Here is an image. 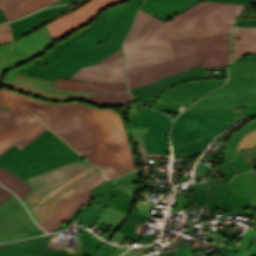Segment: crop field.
<instances>
[{"label": "crop field", "mask_w": 256, "mask_h": 256, "mask_svg": "<svg viewBox=\"0 0 256 256\" xmlns=\"http://www.w3.org/2000/svg\"><path fill=\"white\" fill-rule=\"evenodd\" d=\"M0 96L30 110L79 154L103 169L108 179L135 170L125 120L115 109L79 102L50 103L0 88Z\"/></svg>", "instance_id": "obj_1"}, {"label": "crop field", "mask_w": 256, "mask_h": 256, "mask_svg": "<svg viewBox=\"0 0 256 256\" xmlns=\"http://www.w3.org/2000/svg\"><path fill=\"white\" fill-rule=\"evenodd\" d=\"M145 0L131 2L104 12L99 19L42 57L44 61L21 72L53 80L70 78L84 66L94 65L122 48L135 14Z\"/></svg>", "instance_id": "obj_2"}, {"label": "crop field", "mask_w": 256, "mask_h": 256, "mask_svg": "<svg viewBox=\"0 0 256 256\" xmlns=\"http://www.w3.org/2000/svg\"><path fill=\"white\" fill-rule=\"evenodd\" d=\"M174 59L127 70L129 89L164 78L182 70L203 65L224 66L229 61L230 33L196 39L171 41Z\"/></svg>", "instance_id": "obj_3"}, {"label": "crop field", "mask_w": 256, "mask_h": 256, "mask_svg": "<svg viewBox=\"0 0 256 256\" xmlns=\"http://www.w3.org/2000/svg\"><path fill=\"white\" fill-rule=\"evenodd\" d=\"M78 160L83 158L48 129L22 150L13 146L0 155V167L24 180Z\"/></svg>", "instance_id": "obj_4"}, {"label": "crop field", "mask_w": 256, "mask_h": 256, "mask_svg": "<svg viewBox=\"0 0 256 256\" xmlns=\"http://www.w3.org/2000/svg\"><path fill=\"white\" fill-rule=\"evenodd\" d=\"M99 171V168L83 160L32 176L24 181L35 188L23 201L37 223L49 215L59 204L54 200L55 198Z\"/></svg>", "instance_id": "obj_5"}, {"label": "crop field", "mask_w": 256, "mask_h": 256, "mask_svg": "<svg viewBox=\"0 0 256 256\" xmlns=\"http://www.w3.org/2000/svg\"><path fill=\"white\" fill-rule=\"evenodd\" d=\"M243 7L244 5L203 1L184 11L167 23L142 10H139V13L125 42H152L154 41L156 32L161 26L233 23L238 11H240Z\"/></svg>", "instance_id": "obj_6"}, {"label": "crop field", "mask_w": 256, "mask_h": 256, "mask_svg": "<svg viewBox=\"0 0 256 256\" xmlns=\"http://www.w3.org/2000/svg\"><path fill=\"white\" fill-rule=\"evenodd\" d=\"M51 235L0 245V256H110L116 247L83 230L75 251H65L66 245L50 243Z\"/></svg>", "instance_id": "obj_7"}, {"label": "crop field", "mask_w": 256, "mask_h": 256, "mask_svg": "<svg viewBox=\"0 0 256 256\" xmlns=\"http://www.w3.org/2000/svg\"><path fill=\"white\" fill-rule=\"evenodd\" d=\"M246 117L230 110H187L175 121L172 129L174 157H187L188 129L216 136Z\"/></svg>", "instance_id": "obj_8"}, {"label": "crop field", "mask_w": 256, "mask_h": 256, "mask_svg": "<svg viewBox=\"0 0 256 256\" xmlns=\"http://www.w3.org/2000/svg\"><path fill=\"white\" fill-rule=\"evenodd\" d=\"M0 154L15 145L25 147L48 128L28 111L0 97Z\"/></svg>", "instance_id": "obj_9"}, {"label": "crop field", "mask_w": 256, "mask_h": 256, "mask_svg": "<svg viewBox=\"0 0 256 256\" xmlns=\"http://www.w3.org/2000/svg\"><path fill=\"white\" fill-rule=\"evenodd\" d=\"M256 60L230 64V80L189 109H234L233 92L256 88Z\"/></svg>", "instance_id": "obj_10"}, {"label": "crop field", "mask_w": 256, "mask_h": 256, "mask_svg": "<svg viewBox=\"0 0 256 256\" xmlns=\"http://www.w3.org/2000/svg\"><path fill=\"white\" fill-rule=\"evenodd\" d=\"M107 181L101 172L84 181L72 190L63 194L56 200L61 203L44 220L37 223L48 232L53 231L63 225L77 210L95 198L89 191ZM44 229V230H45Z\"/></svg>", "instance_id": "obj_11"}, {"label": "crop field", "mask_w": 256, "mask_h": 256, "mask_svg": "<svg viewBox=\"0 0 256 256\" xmlns=\"http://www.w3.org/2000/svg\"><path fill=\"white\" fill-rule=\"evenodd\" d=\"M122 1L125 0H91L89 3L46 24V26L53 40H56L73 29L88 23L102 9Z\"/></svg>", "instance_id": "obj_12"}, {"label": "crop field", "mask_w": 256, "mask_h": 256, "mask_svg": "<svg viewBox=\"0 0 256 256\" xmlns=\"http://www.w3.org/2000/svg\"><path fill=\"white\" fill-rule=\"evenodd\" d=\"M126 51V70L173 58L170 41L123 44Z\"/></svg>", "instance_id": "obj_13"}, {"label": "crop field", "mask_w": 256, "mask_h": 256, "mask_svg": "<svg viewBox=\"0 0 256 256\" xmlns=\"http://www.w3.org/2000/svg\"><path fill=\"white\" fill-rule=\"evenodd\" d=\"M226 79L195 80L181 83L162 94L155 103L165 104H190L201 98L208 91L224 84Z\"/></svg>", "instance_id": "obj_14"}, {"label": "crop field", "mask_w": 256, "mask_h": 256, "mask_svg": "<svg viewBox=\"0 0 256 256\" xmlns=\"http://www.w3.org/2000/svg\"><path fill=\"white\" fill-rule=\"evenodd\" d=\"M206 79L203 66H198L194 69L179 72L164 79L150 83L148 85L132 89L130 92L136 99L155 102V100L167 89L181 82Z\"/></svg>", "instance_id": "obj_15"}, {"label": "crop field", "mask_w": 256, "mask_h": 256, "mask_svg": "<svg viewBox=\"0 0 256 256\" xmlns=\"http://www.w3.org/2000/svg\"><path fill=\"white\" fill-rule=\"evenodd\" d=\"M94 202L108 205L115 209L127 212V214L130 216L128 217L126 222L120 227L119 231L131 236L130 238L132 239L142 240V245L150 244L153 238V237H150L151 235L150 233L148 234V236H146V235L136 234L134 233V231L137 226L144 227L146 220H151V219L144 216H139V215L135 216L139 208H136V207L132 208L130 201L105 193L101 195L99 198H97Z\"/></svg>", "instance_id": "obj_16"}, {"label": "crop field", "mask_w": 256, "mask_h": 256, "mask_svg": "<svg viewBox=\"0 0 256 256\" xmlns=\"http://www.w3.org/2000/svg\"><path fill=\"white\" fill-rule=\"evenodd\" d=\"M170 118L152 111L150 116V134H144L149 157L170 158L167 134Z\"/></svg>", "instance_id": "obj_17"}, {"label": "crop field", "mask_w": 256, "mask_h": 256, "mask_svg": "<svg viewBox=\"0 0 256 256\" xmlns=\"http://www.w3.org/2000/svg\"><path fill=\"white\" fill-rule=\"evenodd\" d=\"M30 218L22 203L18 209L0 224V242L44 234Z\"/></svg>", "instance_id": "obj_18"}, {"label": "crop field", "mask_w": 256, "mask_h": 256, "mask_svg": "<svg viewBox=\"0 0 256 256\" xmlns=\"http://www.w3.org/2000/svg\"><path fill=\"white\" fill-rule=\"evenodd\" d=\"M203 0H146L141 9L155 15L156 17L169 21L189 7ZM224 3H236L247 5L256 0H208Z\"/></svg>", "instance_id": "obj_19"}, {"label": "crop field", "mask_w": 256, "mask_h": 256, "mask_svg": "<svg viewBox=\"0 0 256 256\" xmlns=\"http://www.w3.org/2000/svg\"><path fill=\"white\" fill-rule=\"evenodd\" d=\"M197 202L200 207L188 208V209H174L171 211L179 212L180 210L191 211L194 209H208L207 213L202 212L200 217H212L213 209H256V205H249L248 207L242 205H231L220 201L221 197L213 190L209 182H201L197 184H191L190 186Z\"/></svg>", "instance_id": "obj_20"}, {"label": "crop field", "mask_w": 256, "mask_h": 256, "mask_svg": "<svg viewBox=\"0 0 256 256\" xmlns=\"http://www.w3.org/2000/svg\"><path fill=\"white\" fill-rule=\"evenodd\" d=\"M71 78L100 82L126 81L124 73V57L109 64L84 67Z\"/></svg>", "instance_id": "obj_21"}, {"label": "crop field", "mask_w": 256, "mask_h": 256, "mask_svg": "<svg viewBox=\"0 0 256 256\" xmlns=\"http://www.w3.org/2000/svg\"><path fill=\"white\" fill-rule=\"evenodd\" d=\"M232 24L213 26H184V27H161L155 41L174 40L197 36L205 37L231 31Z\"/></svg>", "instance_id": "obj_22"}, {"label": "crop field", "mask_w": 256, "mask_h": 256, "mask_svg": "<svg viewBox=\"0 0 256 256\" xmlns=\"http://www.w3.org/2000/svg\"><path fill=\"white\" fill-rule=\"evenodd\" d=\"M254 129H256V121H251L245 124L244 128L241 129V132H234L228 142L225 141V137L229 132L216 140V142L220 143L217 149L213 151V158H225V162H223L222 165V171L229 180L235 175L230 160L236 152L237 145L246 133Z\"/></svg>", "instance_id": "obj_23"}, {"label": "crop field", "mask_w": 256, "mask_h": 256, "mask_svg": "<svg viewBox=\"0 0 256 256\" xmlns=\"http://www.w3.org/2000/svg\"><path fill=\"white\" fill-rule=\"evenodd\" d=\"M2 85L51 101L84 100L87 102L90 95L83 92L58 91L22 82H2Z\"/></svg>", "instance_id": "obj_24"}, {"label": "crop field", "mask_w": 256, "mask_h": 256, "mask_svg": "<svg viewBox=\"0 0 256 256\" xmlns=\"http://www.w3.org/2000/svg\"><path fill=\"white\" fill-rule=\"evenodd\" d=\"M54 88L89 92L127 91L126 82L99 83L62 78L56 79Z\"/></svg>", "instance_id": "obj_25"}, {"label": "crop field", "mask_w": 256, "mask_h": 256, "mask_svg": "<svg viewBox=\"0 0 256 256\" xmlns=\"http://www.w3.org/2000/svg\"><path fill=\"white\" fill-rule=\"evenodd\" d=\"M70 8L68 5L46 9L20 20H17L13 23H9V26L12 29L13 41L20 38L21 36L35 30L36 28L44 25V21L42 18H46L48 16L54 15L60 11H64Z\"/></svg>", "instance_id": "obj_26"}, {"label": "crop field", "mask_w": 256, "mask_h": 256, "mask_svg": "<svg viewBox=\"0 0 256 256\" xmlns=\"http://www.w3.org/2000/svg\"><path fill=\"white\" fill-rule=\"evenodd\" d=\"M95 199L77 211L63 226L55 231L67 229L70 227V223L79 220L86 222L84 225L86 228H88L95 220L104 223L114 213L115 209L92 203Z\"/></svg>", "instance_id": "obj_27"}, {"label": "crop field", "mask_w": 256, "mask_h": 256, "mask_svg": "<svg viewBox=\"0 0 256 256\" xmlns=\"http://www.w3.org/2000/svg\"><path fill=\"white\" fill-rule=\"evenodd\" d=\"M232 42L233 54L231 62L236 57L256 53V27H234Z\"/></svg>", "instance_id": "obj_28"}, {"label": "crop field", "mask_w": 256, "mask_h": 256, "mask_svg": "<svg viewBox=\"0 0 256 256\" xmlns=\"http://www.w3.org/2000/svg\"><path fill=\"white\" fill-rule=\"evenodd\" d=\"M57 1L59 0H0V9L9 21Z\"/></svg>", "instance_id": "obj_29"}, {"label": "crop field", "mask_w": 256, "mask_h": 256, "mask_svg": "<svg viewBox=\"0 0 256 256\" xmlns=\"http://www.w3.org/2000/svg\"><path fill=\"white\" fill-rule=\"evenodd\" d=\"M53 41L46 26H43L14 42V49L17 55L27 54L28 56Z\"/></svg>", "instance_id": "obj_30"}, {"label": "crop field", "mask_w": 256, "mask_h": 256, "mask_svg": "<svg viewBox=\"0 0 256 256\" xmlns=\"http://www.w3.org/2000/svg\"><path fill=\"white\" fill-rule=\"evenodd\" d=\"M53 42L49 43L45 47L41 48L37 52L33 53L31 56H26L25 54L17 56L12 50V42L4 45H0V80L2 79L5 70H10L18 65H21L31 58H34L46 51V49L52 46ZM48 50V49H47Z\"/></svg>", "instance_id": "obj_31"}, {"label": "crop field", "mask_w": 256, "mask_h": 256, "mask_svg": "<svg viewBox=\"0 0 256 256\" xmlns=\"http://www.w3.org/2000/svg\"><path fill=\"white\" fill-rule=\"evenodd\" d=\"M227 186L235 191L232 194L253 199L250 204H256V173L254 171L234 177Z\"/></svg>", "instance_id": "obj_32"}, {"label": "crop field", "mask_w": 256, "mask_h": 256, "mask_svg": "<svg viewBox=\"0 0 256 256\" xmlns=\"http://www.w3.org/2000/svg\"><path fill=\"white\" fill-rule=\"evenodd\" d=\"M0 182L17 193L23 200L34 188L4 168H0Z\"/></svg>", "instance_id": "obj_33"}, {"label": "crop field", "mask_w": 256, "mask_h": 256, "mask_svg": "<svg viewBox=\"0 0 256 256\" xmlns=\"http://www.w3.org/2000/svg\"><path fill=\"white\" fill-rule=\"evenodd\" d=\"M132 100L129 93L91 94L88 102L102 106H117L126 104Z\"/></svg>", "instance_id": "obj_34"}, {"label": "crop field", "mask_w": 256, "mask_h": 256, "mask_svg": "<svg viewBox=\"0 0 256 256\" xmlns=\"http://www.w3.org/2000/svg\"><path fill=\"white\" fill-rule=\"evenodd\" d=\"M213 138H214L213 136H208V135H204V134L189 130L187 135L188 157H194L195 154L202 153L203 150L206 148L207 144Z\"/></svg>", "instance_id": "obj_35"}, {"label": "crop field", "mask_w": 256, "mask_h": 256, "mask_svg": "<svg viewBox=\"0 0 256 256\" xmlns=\"http://www.w3.org/2000/svg\"><path fill=\"white\" fill-rule=\"evenodd\" d=\"M211 186L215 189V191L223 198L222 201L232 203V204H242L248 205L250 203V199L241 198L235 195L230 194L233 192L229 189L226 184H220L215 181H209Z\"/></svg>", "instance_id": "obj_36"}, {"label": "crop field", "mask_w": 256, "mask_h": 256, "mask_svg": "<svg viewBox=\"0 0 256 256\" xmlns=\"http://www.w3.org/2000/svg\"><path fill=\"white\" fill-rule=\"evenodd\" d=\"M127 217L128 216L125 215V212L116 210L115 213L104 223L113 228L106 234H104L102 238L109 240L112 237V235L118 230V228L124 223Z\"/></svg>", "instance_id": "obj_37"}, {"label": "crop field", "mask_w": 256, "mask_h": 256, "mask_svg": "<svg viewBox=\"0 0 256 256\" xmlns=\"http://www.w3.org/2000/svg\"><path fill=\"white\" fill-rule=\"evenodd\" d=\"M235 107L243 108L256 104V90L234 93Z\"/></svg>", "instance_id": "obj_38"}, {"label": "crop field", "mask_w": 256, "mask_h": 256, "mask_svg": "<svg viewBox=\"0 0 256 256\" xmlns=\"http://www.w3.org/2000/svg\"><path fill=\"white\" fill-rule=\"evenodd\" d=\"M20 201L14 195L0 207V223L8 218L20 205Z\"/></svg>", "instance_id": "obj_39"}, {"label": "crop field", "mask_w": 256, "mask_h": 256, "mask_svg": "<svg viewBox=\"0 0 256 256\" xmlns=\"http://www.w3.org/2000/svg\"><path fill=\"white\" fill-rule=\"evenodd\" d=\"M106 182V181H105ZM92 194L96 195L97 197H99L103 192H106V193H110V194H113V195H116V196H120V197H123L125 199H128L130 201H133L134 202V199L132 196L116 189V188H112L110 189L109 186L107 185V183H104L102 184L101 186L95 188L94 190L90 191Z\"/></svg>", "instance_id": "obj_40"}, {"label": "crop field", "mask_w": 256, "mask_h": 256, "mask_svg": "<svg viewBox=\"0 0 256 256\" xmlns=\"http://www.w3.org/2000/svg\"><path fill=\"white\" fill-rule=\"evenodd\" d=\"M12 80H22L25 82H29V83H33V84H37V85H41V86H45V87H50L52 88V85L54 82L52 81H48V80H44V79H40V78H36L30 75H26L23 73H17Z\"/></svg>", "instance_id": "obj_41"}, {"label": "crop field", "mask_w": 256, "mask_h": 256, "mask_svg": "<svg viewBox=\"0 0 256 256\" xmlns=\"http://www.w3.org/2000/svg\"><path fill=\"white\" fill-rule=\"evenodd\" d=\"M232 164L238 171V174L252 169L244 158L243 150H241L240 153L232 160Z\"/></svg>", "instance_id": "obj_42"}, {"label": "crop field", "mask_w": 256, "mask_h": 256, "mask_svg": "<svg viewBox=\"0 0 256 256\" xmlns=\"http://www.w3.org/2000/svg\"><path fill=\"white\" fill-rule=\"evenodd\" d=\"M256 144V130L245 135L239 143L237 152L242 148H252Z\"/></svg>", "instance_id": "obj_43"}, {"label": "crop field", "mask_w": 256, "mask_h": 256, "mask_svg": "<svg viewBox=\"0 0 256 256\" xmlns=\"http://www.w3.org/2000/svg\"><path fill=\"white\" fill-rule=\"evenodd\" d=\"M11 41L12 38L9 26L7 24L0 25V44H4Z\"/></svg>", "instance_id": "obj_44"}, {"label": "crop field", "mask_w": 256, "mask_h": 256, "mask_svg": "<svg viewBox=\"0 0 256 256\" xmlns=\"http://www.w3.org/2000/svg\"><path fill=\"white\" fill-rule=\"evenodd\" d=\"M144 104H146L147 106L149 107H153L157 110H161V111H170V112H174V113H178L177 111H175L180 105H166V106H162V105H159V104H153V103H149V102H145V101H141V100H138Z\"/></svg>", "instance_id": "obj_45"}, {"label": "crop field", "mask_w": 256, "mask_h": 256, "mask_svg": "<svg viewBox=\"0 0 256 256\" xmlns=\"http://www.w3.org/2000/svg\"><path fill=\"white\" fill-rule=\"evenodd\" d=\"M40 61H42L41 58H35V59H34L33 61H31L29 64H27V65H22V66H20V67L14 69V70L8 72V73L5 75V77H4L3 80H11V78L14 76V74H15L16 72L21 71V70H23V69H25V68H27V67H29V66H31V65H34V64H36V63H38V62H40Z\"/></svg>", "instance_id": "obj_46"}, {"label": "crop field", "mask_w": 256, "mask_h": 256, "mask_svg": "<svg viewBox=\"0 0 256 256\" xmlns=\"http://www.w3.org/2000/svg\"><path fill=\"white\" fill-rule=\"evenodd\" d=\"M154 246H148V247H142V248H133L129 251H127L126 253H124L122 256H143L140 253L149 250V249H153Z\"/></svg>", "instance_id": "obj_47"}, {"label": "crop field", "mask_w": 256, "mask_h": 256, "mask_svg": "<svg viewBox=\"0 0 256 256\" xmlns=\"http://www.w3.org/2000/svg\"><path fill=\"white\" fill-rule=\"evenodd\" d=\"M122 56H124V53H123L122 49H120L97 64L109 63L111 61L119 59Z\"/></svg>", "instance_id": "obj_48"}, {"label": "crop field", "mask_w": 256, "mask_h": 256, "mask_svg": "<svg viewBox=\"0 0 256 256\" xmlns=\"http://www.w3.org/2000/svg\"><path fill=\"white\" fill-rule=\"evenodd\" d=\"M234 26H256V19H237Z\"/></svg>", "instance_id": "obj_49"}, {"label": "crop field", "mask_w": 256, "mask_h": 256, "mask_svg": "<svg viewBox=\"0 0 256 256\" xmlns=\"http://www.w3.org/2000/svg\"><path fill=\"white\" fill-rule=\"evenodd\" d=\"M12 195L13 194H11L7 189L0 186V205L8 200Z\"/></svg>", "instance_id": "obj_50"}, {"label": "crop field", "mask_w": 256, "mask_h": 256, "mask_svg": "<svg viewBox=\"0 0 256 256\" xmlns=\"http://www.w3.org/2000/svg\"><path fill=\"white\" fill-rule=\"evenodd\" d=\"M219 252H221L224 256H232L242 250L238 249V248H231V247H225L221 250H218Z\"/></svg>", "instance_id": "obj_51"}, {"label": "crop field", "mask_w": 256, "mask_h": 256, "mask_svg": "<svg viewBox=\"0 0 256 256\" xmlns=\"http://www.w3.org/2000/svg\"><path fill=\"white\" fill-rule=\"evenodd\" d=\"M231 215H256V210H235L232 209Z\"/></svg>", "instance_id": "obj_52"}, {"label": "crop field", "mask_w": 256, "mask_h": 256, "mask_svg": "<svg viewBox=\"0 0 256 256\" xmlns=\"http://www.w3.org/2000/svg\"><path fill=\"white\" fill-rule=\"evenodd\" d=\"M245 112L247 117L256 116V105L250 106L244 109H240Z\"/></svg>", "instance_id": "obj_53"}, {"label": "crop field", "mask_w": 256, "mask_h": 256, "mask_svg": "<svg viewBox=\"0 0 256 256\" xmlns=\"http://www.w3.org/2000/svg\"><path fill=\"white\" fill-rule=\"evenodd\" d=\"M179 253L181 256H194L192 250L189 247L186 249L182 245L179 247Z\"/></svg>", "instance_id": "obj_54"}, {"label": "crop field", "mask_w": 256, "mask_h": 256, "mask_svg": "<svg viewBox=\"0 0 256 256\" xmlns=\"http://www.w3.org/2000/svg\"><path fill=\"white\" fill-rule=\"evenodd\" d=\"M129 248H120L117 247V249L114 251V253L111 256H119L122 252L126 251Z\"/></svg>", "instance_id": "obj_55"}, {"label": "crop field", "mask_w": 256, "mask_h": 256, "mask_svg": "<svg viewBox=\"0 0 256 256\" xmlns=\"http://www.w3.org/2000/svg\"><path fill=\"white\" fill-rule=\"evenodd\" d=\"M251 59H256V54L251 56H246V57H239L236 59V61H245V60H251Z\"/></svg>", "instance_id": "obj_56"}, {"label": "crop field", "mask_w": 256, "mask_h": 256, "mask_svg": "<svg viewBox=\"0 0 256 256\" xmlns=\"http://www.w3.org/2000/svg\"><path fill=\"white\" fill-rule=\"evenodd\" d=\"M71 1H75V0H62V1L57 2V3H54V4H52V5L64 4V3L71 2ZM52 5H50V6H52Z\"/></svg>", "instance_id": "obj_57"}, {"label": "crop field", "mask_w": 256, "mask_h": 256, "mask_svg": "<svg viewBox=\"0 0 256 256\" xmlns=\"http://www.w3.org/2000/svg\"><path fill=\"white\" fill-rule=\"evenodd\" d=\"M7 20L5 19V17H4V15H3V13H2V11L0 10V23H4V22H6Z\"/></svg>", "instance_id": "obj_58"}, {"label": "crop field", "mask_w": 256, "mask_h": 256, "mask_svg": "<svg viewBox=\"0 0 256 256\" xmlns=\"http://www.w3.org/2000/svg\"><path fill=\"white\" fill-rule=\"evenodd\" d=\"M158 256H164V255H162V254L160 253ZM170 256H180V255H179V253H177V254L170 255Z\"/></svg>", "instance_id": "obj_59"}, {"label": "crop field", "mask_w": 256, "mask_h": 256, "mask_svg": "<svg viewBox=\"0 0 256 256\" xmlns=\"http://www.w3.org/2000/svg\"><path fill=\"white\" fill-rule=\"evenodd\" d=\"M252 149L256 150V145Z\"/></svg>", "instance_id": "obj_60"}, {"label": "crop field", "mask_w": 256, "mask_h": 256, "mask_svg": "<svg viewBox=\"0 0 256 256\" xmlns=\"http://www.w3.org/2000/svg\"><path fill=\"white\" fill-rule=\"evenodd\" d=\"M255 256H256V252H255V254H254Z\"/></svg>", "instance_id": "obj_61"}, {"label": "crop field", "mask_w": 256, "mask_h": 256, "mask_svg": "<svg viewBox=\"0 0 256 256\" xmlns=\"http://www.w3.org/2000/svg\"><path fill=\"white\" fill-rule=\"evenodd\" d=\"M1 109H4V108H1ZM8 110V109H7Z\"/></svg>", "instance_id": "obj_62"}]
</instances>
